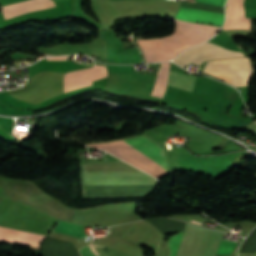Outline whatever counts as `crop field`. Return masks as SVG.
I'll return each instance as SVG.
<instances>
[{
  "label": "crop field",
  "mask_w": 256,
  "mask_h": 256,
  "mask_svg": "<svg viewBox=\"0 0 256 256\" xmlns=\"http://www.w3.org/2000/svg\"><path fill=\"white\" fill-rule=\"evenodd\" d=\"M85 178H152L143 172H85ZM155 179H85L86 186H155Z\"/></svg>",
  "instance_id": "obj_1"
},
{
  "label": "crop field",
  "mask_w": 256,
  "mask_h": 256,
  "mask_svg": "<svg viewBox=\"0 0 256 256\" xmlns=\"http://www.w3.org/2000/svg\"><path fill=\"white\" fill-rule=\"evenodd\" d=\"M222 47L213 45L211 43L205 42L202 45H199L197 47H194L190 50H187L185 52H183L181 55H179L177 58H175L173 61L178 63L179 65H181L183 68L185 65L188 64L189 61L195 59V58H200L203 57L211 52H214L218 49H220ZM238 56H244L242 53L239 52H235V51H230V50H226L224 48L209 54L199 60H196L192 63L200 65L202 62H204L207 59H214V58H225V57H238ZM190 63V62H189Z\"/></svg>",
  "instance_id": "obj_2"
},
{
  "label": "crop field",
  "mask_w": 256,
  "mask_h": 256,
  "mask_svg": "<svg viewBox=\"0 0 256 256\" xmlns=\"http://www.w3.org/2000/svg\"><path fill=\"white\" fill-rule=\"evenodd\" d=\"M224 1L225 0H196V2L199 3H206L219 6H223ZM176 18L187 20L190 22L210 23L220 26L222 24V21L224 20V14L181 7Z\"/></svg>",
  "instance_id": "obj_3"
},
{
  "label": "crop field",
  "mask_w": 256,
  "mask_h": 256,
  "mask_svg": "<svg viewBox=\"0 0 256 256\" xmlns=\"http://www.w3.org/2000/svg\"><path fill=\"white\" fill-rule=\"evenodd\" d=\"M106 76L104 66H94L92 68L67 73L65 75L64 92L90 86L93 80Z\"/></svg>",
  "instance_id": "obj_4"
},
{
  "label": "crop field",
  "mask_w": 256,
  "mask_h": 256,
  "mask_svg": "<svg viewBox=\"0 0 256 256\" xmlns=\"http://www.w3.org/2000/svg\"><path fill=\"white\" fill-rule=\"evenodd\" d=\"M147 138V137H146ZM145 137L141 138H134V139H128L124 140L131 146H133L135 149L155 161L157 164L162 166L167 172H168V167H167V162H166V157L163 149L159 147L158 145L150 142L148 139Z\"/></svg>",
  "instance_id": "obj_5"
},
{
  "label": "crop field",
  "mask_w": 256,
  "mask_h": 256,
  "mask_svg": "<svg viewBox=\"0 0 256 256\" xmlns=\"http://www.w3.org/2000/svg\"><path fill=\"white\" fill-rule=\"evenodd\" d=\"M250 19L244 18L242 0H228L223 29H249Z\"/></svg>",
  "instance_id": "obj_6"
},
{
  "label": "crop field",
  "mask_w": 256,
  "mask_h": 256,
  "mask_svg": "<svg viewBox=\"0 0 256 256\" xmlns=\"http://www.w3.org/2000/svg\"><path fill=\"white\" fill-rule=\"evenodd\" d=\"M182 234L183 233L169 237L170 256H176ZM235 245V242L221 240L216 254L230 256Z\"/></svg>",
  "instance_id": "obj_7"
},
{
  "label": "crop field",
  "mask_w": 256,
  "mask_h": 256,
  "mask_svg": "<svg viewBox=\"0 0 256 256\" xmlns=\"http://www.w3.org/2000/svg\"><path fill=\"white\" fill-rule=\"evenodd\" d=\"M195 78L196 77L194 76L184 75L170 71L168 85L192 92Z\"/></svg>",
  "instance_id": "obj_8"
},
{
  "label": "crop field",
  "mask_w": 256,
  "mask_h": 256,
  "mask_svg": "<svg viewBox=\"0 0 256 256\" xmlns=\"http://www.w3.org/2000/svg\"><path fill=\"white\" fill-rule=\"evenodd\" d=\"M52 230L79 236V237L85 236L84 226L63 222L61 220L57 223V225Z\"/></svg>",
  "instance_id": "obj_9"
},
{
  "label": "crop field",
  "mask_w": 256,
  "mask_h": 256,
  "mask_svg": "<svg viewBox=\"0 0 256 256\" xmlns=\"http://www.w3.org/2000/svg\"><path fill=\"white\" fill-rule=\"evenodd\" d=\"M43 236H40V234L19 230L14 242L39 246V243L44 238Z\"/></svg>",
  "instance_id": "obj_10"
},
{
  "label": "crop field",
  "mask_w": 256,
  "mask_h": 256,
  "mask_svg": "<svg viewBox=\"0 0 256 256\" xmlns=\"http://www.w3.org/2000/svg\"><path fill=\"white\" fill-rule=\"evenodd\" d=\"M80 253L82 256H100L91 245L80 249Z\"/></svg>",
  "instance_id": "obj_11"
},
{
  "label": "crop field",
  "mask_w": 256,
  "mask_h": 256,
  "mask_svg": "<svg viewBox=\"0 0 256 256\" xmlns=\"http://www.w3.org/2000/svg\"><path fill=\"white\" fill-rule=\"evenodd\" d=\"M39 53V52H38ZM40 54H43V53H40ZM44 55H48V54H44Z\"/></svg>",
  "instance_id": "obj_12"
},
{
  "label": "crop field",
  "mask_w": 256,
  "mask_h": 256,
  "mask_svg": "<svg viewBox=\"0 0 256 256\" xmlns=\"http://www.w3.org/2000/svg\"><path fill=\"white\" fill-rule=\"evenodd\" d=\"M161 66H162V63H161ZM159 70H161V67H160V69Z\"/></svg>",
  "instance_id": "obj_13"
},
{
  "label": "crop field",
  "mask_w": 256,
  "mask_h": 256,
  "mask_svg": "<svg viewBox=\"0 0 256 256\" xmlns=\"http://www.w3.org/2000/svg\"><path fill=\"white\" fill-rule=\"evenodd\" d=\"M226 235V234H225Z\"/></svg>",
  "instance_id": "obj_14"
}]
</instances>
